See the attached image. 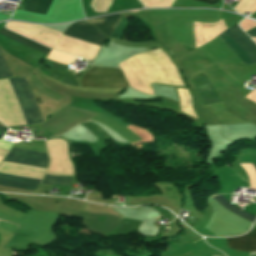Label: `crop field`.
<instances>
[{
  "label": "crop field",
  "instance_id": "crop-field-1",
  "mask_svg": "<svg viewBox=\"0 0 256 256\" xmlns=\"http://www.w3.org/2000/svg\"><path fill=\"white\" fill-rule=\"evenodd\" d=\"M4 161L44 168H47L49 163L47 154L16 148H13ZM41 179L39 177L0 172V184L5 185L35 189Z\"/></svg>",
  "mask_w": 256,
  "mask_h": 256
},
{
  "label": "crop field",
  "instance_id": "crop-field-2",
  "mask_svg": "<svg viewBox=\"0 0 256 256\" xmlns=\"http://www.w3.org/2000/svg\"><path fill=\"white\" fill-rule=\"evenodd\" d=\"M237 24L225 32L238 44L254 64L256 63V44L240 30ZM225 32L218 37L237 55L242 63L252 65L250 59Z\"/></svg>",
  "mask_w": 256,
  "mask_h": 256
},
{
  "label": "crop field",
  "instance_id": "crop-field-3",
  "mask_svg": "<svg viewBox=\"0 0 256 256\" xmlns=\"http://www.w3.org/2000/svg\"><path fill=\"white\" fill-rule=\"evenodd\" d=\"M26 124L41 123L28 83L23 77L9 79Z\"/></svg>",
  "mask_w": 256,
  "mask_h": 256
},
{
  "label": "crop field",
  "instance_id": "crop-field-4",
  "mask_svg": "<svg viewBox=\"0 0 256 256\" xmlns=\"http://www.w3.org/2000/svg\"><path fill=\"white\" fill-rule=\"evenodd\" d=\"M82 86L124 87L127 82L119 69L92 68L81 80Z\"/></svg>",
  "mask_w": 256,
  "mask_h": 256
},
{
  "label": "crop field",
  "instance_id": "crop-field-5",
  "mask_svg": "<svg viewBox=\"0 0 256 256\" xmlns=\"http://www.w3.org/2000/svg\"><path fill=\"white\" fill-rule=\"evenodd\" d=\"M67 34L86 39L98 44L103 45L105 40L104 36H102L96 29L89 26L85 22H75L70 27L67 28L66 32Z\"/></svg>",
  "mask_w": 256,
  "mask_h": 256
},
{
  "label": "crop field",
  "instance_id": "crop-field-6",
  "mask_svg": "<svg viewBox=\"0 0 256 256\" xmlns=\"http://www.w3.org/2000/svg\"><path fill=\"white\" fill-rule=\"evenodd\" d=\"M228 247L239 251L249 252L256 251V230L251 231L243 236L226 238Z\"/></svg>",
  "mask_w": 256,
  "mask_h": 256
},
{
  "label": "crop field",
  "instance_id": "crop-field-7",
  "mask_svg": "<svg viewBox=\"0 0 256 256\" xmlns=\"http://www.w3.org/2000/svg\"><path fill=\"white\" fill-rule=\"evenodd\" d=\"M120 16L121 15L119 14H115L110 16L93 18L85 21L97 27L98 30L105 36L112 37Z\"/></svg>",
  "mask_w": 256,
  "mask_h": 256
},
{
  "label": "crop field",
  "instance_id": "crop-field-8",
  "mask_svg": "<svg viewBox=\"0 0 256 256\" xmlns=\"http://www.w3.org/2000/svg\"><path fill=\"white\" fill-rule=\"evenodd\" d=\"M0 34L3 35V36L8 37L10 39H13V40H15L17 42H20V43H22V44H24L26 46H29V47H31L33 49H36V50H38L40 52H43V53H45L47 55H49V53L51 51L50 49H48V48H46V47H44L42 45H39V44H37L35 42H32V41H30V40H28V39H26L24 37H21V36L16 35V34H14L12 32H9V31L5 30V28L0 30Z\"/></svg>",
  "mask_w": 256,
  "mask_h": 256
},
{
  "label": "crop field",
  "instance_id": "crop-field-9",
  "mask_svg": "<svg viewBox=\"0 0 256 256\" xmlns=\"http://www.w3.org/2000/svg\"><path fill=\"white\" fill-rule=\"evenodd\" d=\"M52 0H24V10L45 15Z\"/></svg>",
  "mask_w": 256,
  "mask_h": 256
},
{
  "label": "crop field",
  "instance_id": "crop-field-10",
  "mask_svg": "<svg viewBox=\"0 0 256 256\" xmlns=\"http://www.w3.org/2000/svg\"><path fill=\"white\" fill-rule=\"evenodd\" d=\"M214 200L216 202H218L220 205H222L224 208H226L227 210L249 220V221H254L256 215L255 214H251L242 210L237 209L236 207L230 205L221 195L214 197Z\"/></svg>",
  "mask_w": 256,
  "mask_h": 256
},
{
  "label": "crop field",
  "instance_id": "crop-field-11",
  "mask_svg": "<svg viewBox=\"0 0 256 256\" xmlns=\"http://www.w3.org/2000/svg\"><path fill=\"white\" fill-rule=\"evenodd\" d=\"M72 177L46 175L42 184L70 186Z\"/></svg>",
  "mask_w": 256,
  "mask_h": 256
},
{
  "label": "crop field",
  "instance_id": "crop-field-12",
  "mask_svg": "<svg viewBox=\"0 0 256 256\" xmlns=\"http://www.w3.org/2000/svg\"><path fill=\"white\" fill-rule=\"evenodd\" d=\"M11 76L1 54H0V77Z\"/></svg>",
  "mask_w": 256,
  "mask_h": 256
},
{
  "label": "crop field",
  "instance_id": "crop-field-13",
  "mask_svg": "<svg viewBox=\"0 0 256 256\" xmlns=\"http://www.w3.org/2000/svg\"><path fill=\"white\" fill-rule=\"evenodd\" d=\"M8 129L0 127V139H2L3 135ZM12 146V143L0 140V147L9 150ZM12 148V147H11Z\"/></svg>",
  "mask_w": 256,
  "mask_h": 256
},
{
  "label": "crop field",
  "instance_id": "crop-field-14",
  "mask_svg": "<svg viewBox=\"0 0 256 256\" xmlns=\"http://www.w3.org/2000/svg\"><path fill=\"white\" fill-rule=\"evenodd\" d=\"M196 1L210 3V4H215V3L219 2L218 0H196Z\"/></svg>",
  "mask_w": 256,
  "mask_h": 256
},
{
  "label": "crop field",
  "instance_id": "crop-field-15",
  "mask_svg": "<svg viewBox=\"0 0 256 256\" xmlns=\"http://www.w3.org/2000/svg\"><path fill=\"white\" fill-rule=\"evenodd\" d=\"M247 33L249 34L250 37H256V28Z\"/></svg>",
  "mask_w": 256,
  "mask_h": 256
},
{
  "label": "crop field",
  "instance_id": "crop-field-16",
  "mask_svg": "<svg viewBox=\"0 0 256 256\" xmlns=\"http://www.w3.org/2000/svg\"><path fill=\"white\" fill-rule=\"evenodd\" d=\"M172 220H173V218H172Z\"/></svg>",
  "mask_w": 256,
  "mask_h": 256
},
{
  "label": "crop field",
  "instance_id": "crop-field-17",
  "mask_svg": "<svg viewBox=\"0 0 256 256\" xmlns=\"http://www.w3.org/2000/svg\"><path fill=\"white\" fill-rule=\"evenodd\" d=\"M161 217V216H160ZM159 218V217H158Z\"/></svg>",
  "mask_w": 256,
  "mask_h": 256
}]
</instances>
